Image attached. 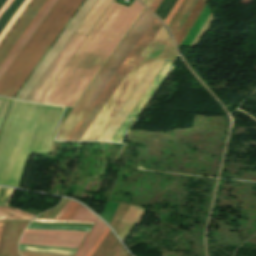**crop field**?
<instances>
[{"label":"crop field","instance_id":"d9b57169","mask_svg":"<svg viewBox=\"0 0 256 256\" xmlns=\"http://www.w3.org/2000/svg\"><path fill=\"white\" fill-rule=\"evenodd\" d=\"M142 209L141 208H137V207H133L130 206L129 210L127 211L123 221L125 222H130L135 224L138 216L140 215Z\"/></svg>","mask_w":256,"mask_h":256},{"label":"crop field","instance_id":"dafd665d","mask_svg":"<svg viewBox=\"0 0 256 256\" xmlns=\"http://www.w3.org/2000/svg\"><path fill=\"white\" fill-rule=\"evenodd\" d=\"M109 228L107 227V229L104 231V233L102 234V236L100 237V239L97 241V243L94 245V247L91 249V251L88 253L87 256H91L93 254V252L96 250V248L98 247V245L101 243V241L104 239V237L106 236V234L109 232Z\"/></svg>","mask_w":256,"mask_h":256},{"label":"crop field","instance_id":"cbeb9de0","mask_svg":"<svg viewBox=\"0 0 256 256\" xmlns=\"http://www.w3.org/2000/svg\"><path fill=\"white\" fill-rule=\"evenodd\" d=\"M196 1L197 0H185L184 4L182 5L180 10L178 11L176 16L174 17L173 21L169 25V28H170V30L173 34V37L176 35L177 31L179 30V28L183 24L184 20L186 19L189 12L191 11L193 6L195 5Z\"/></svg>","mask_w":256,"mask_h":256},{"label":"crop field","instance_id":"214f88e0","mask_svg":"<svg viewBox=\"0 0 256 256\" xmlns=\"http://www.w3.org/2000/svg\"><path fill=\"white\" fill-rule=\"evenodd\" d=\"M32 222H45V223H83V224H94V223H91V222H83V221L49 220V219H40V218H35Z\"/></svg>","mask_w":256,"mask_h":256},{"label":"crop field","instance_id":"4a817a6b","mask_svg":"<svg viewBox=\"0 0 256 256\" xmlns=\"http://www.w3.org/2000/svg\"><path fill=\"white\" fill-rule=\"evenodd\" d=\"M127 252L123 249V247L120 245V243L117 242L115 243V245L113 246V248L111 249V251L109 252V254L107 256H127Z\"/></svg>","mask_w":256,"mask_h":256},{"label":"crop field","instance_id":"412701ff","mask_svg":"<svg viewBox=\"0 0 256 256\" xmlns=\"http://www.w3.org/2000/svg\"><path fill=\"white\" fill-rule=\"evenodd\" d=\"M169 39L162 25L80 141L97 140Z\"/></svg>","mask_w":256,"mask_h":256},{"label":"crop field","instance_id":"5a996713","mask_svg":"<svg viewBox=\"0 0 256 256\" xmlns=\"http://www.w3.org/2000/svg\"><path fill=\"white\" fill-rule=\"evenodd\" d=\"M47 0H32L0 44V64Z\"/></svg>","mask_w":256,"mask_h":256},{"label":"crop field","instance_id":"d1516ede","mask_svg":"<svg viewBox=\"0 0 256 256\" xmlns=\"http://www.w3.org/2000/svg\"><path fill=\"white\" fill-rule=\"evenodd\" d=\"M174 63V62H173ZM172 62L166 61L160 74L158 75V77L155 79V81L152 83V85L150 86V88L147 90V92L145 93V95L142 97V99L139 101V103L137 104V106L134 108V110L132 111V113L129 115V117L126 119V121L124 122V124L121 126V128L119 129V131L116 133V135L113 137L112 141H118L120 140V138L123 136V134L126 132V130L129 128V126L132 124V122L135 120V118L137 117V115L140 113V111L142 110V108L145 106V104L147 103V101L150 99V97L152 96V94L155 92V90L157 89V87L160 85V83L162 82V80L165 78L170 66H171ZM173 65V64H172ZM172 67V66H171ZM171 69V68H170ZM170 71V70H169ZM169 73V72H168ZM168 75V74H167ZM164 81V80H163Z\"/></svg>","mask_w":256,"mask_h":256},{"label":"crop field","instance_id":"eef30255","mask_svg":"<svg viewBox=\"0 0 256 256\" xmlns=\"http://www.w3.org/2000/svg\"><path fill=\"white\" fill-rule=\"evenodd\" d=\"M144 2V0H142Z\"/></svg>","mask_w":256,"mask_h":256},{"label":"crop field","instance_id":"ac0d7876","mask_svg":"<svg viewBox=\"0 0 256 256\" xmlns=\"http://www.w3.org/2000/svg\"><path fill=\"white\" fill-rule=\"evenodd\" d=\"M83 0H58L0 80V96L13 98Z\"/></svg>","mask_w":256,"mask_h":256},{"label":"crop field","instance_id":"730fd06b","mask_svg":"<svg viewBox=\"0 0 256 256\" xmlns=\"http://www.w3.org/2000/svg\"><path fill=\"white\" fill-rule=\"evenodd\" d=\"M22 256H30V255H22Z\"/></svg>","mask_w":256,"mask_h":256},{"label":"crop field","instance_id":"34b2d1b8","mask_svg":"<svg viewBox=\"0 0 256 256\" xmlns=\"http://www.w3.org/2000/svg\"><path fill=\"white\" fill-rule=\"evenodd\" d=\"M154 18L155 17L145 9L69 115L60 125L56 137L57 140H67Z\"/></svg>","mask_w":256,"mask_h":256},{"label":"crop field","instance_id":"22f410ed","mask_svg":"<svg viewBox=\"0 0 256 256\" xmlns=\"http://www.w3.org/2000/svg\"><path fill=\"white\" fill-rule=\"evenodd\" d=\"M205 4L206 3L202 0L197 1L196 5L192 9L189 16L187 17L184 24L182 25V27L180 28V30L178 31L177 35L174 38L177 45H180L183 38L185 37V35L189 31V29L191 28L192 24L194 23V21L196 20V18L200 14V12L203 9V7L205 6Z\"/></svg>","mask_w":256,"mask_h":256},{"label":"crop field","instance_id":"8a807250","mask_svg":"<svg viewBox=\"0 0 256 256\" xmlns=\"http://www.w3.org/2000/svg\"><path fill=\"white\" fill-rule=\"evenodd\" d=\"M143 8L112 2L40 102L73 107Z\"/></svg>","mask_w":256,"mask_h":256},{"label":"crop field","instance_id":"00972430","mask_svg":"<svg viewBox=\"0 0 256 256\" xmlns=\"http://www.w3.org/2000/svg\"><path fill=\"white\" fill-rule=\"evenodd\" d=\"M19 252H20V254H30V255L68 256V255L50 254V253H40V252H27V251H19Z\"/></svg>","mask_w":256,"mask_h":256},{"label":"crop field","instance_id":"bc2a9ffb","mask_svg":"<svg viewBox=\"0 0 256 256\" xmlns=\"http://www.w3.org/2000/svg\"><path fill=\"white\" fill-rule=\"evenodd\" d=\"M20 246L75 251V249H72V248H54V247H47V246H31V245H21V244ZM25 247H20V248H25ZM37 248H27V249H37ZM27 249H20V250H27ZM48 249H43V250H48ZM28 251H42V250H28ZM58 251H44V252H58ZM58 253H69V252H58ZM69 254H72V253H69Z\"/></svg>","mask_w":256,"mask_h":256},{"label":"crop field","instance_id":"5142ce71","mask_svg":"<svg viewBox=\"0 0 256 256\" xmlns=\"http://www.w3.org/2000/svg\"><path fill=\"white\" fill-rule=\"evenodd\" d=\"M34 216L23 211L0 207V220H32Z\"/></svg>","mask_w":256,"mask_h":256},{"label":"crop field","instance_id":"e52e79f7","mask_svg":"<svg viewBox=\"0 0 256 256\" xmlns=\"http://www.w3.org/2000/svg\"><path fill=\"white\" fill-rule=\"evenodd\" d=\"M55 219L84 220L97 222L74 256H86V254L90 251L92 246L95 244L97 239L107 227L95 215L83 208L80 204L71 200L68 201V203L59 212Z\"/></svg>","mask_w":256,"mask_h":256},{"label":"crop field","instance_id":"dd49c442","mask_svg":"<svg viewBox=\"0 0 256 256\" xmlns=\"http://www.w3.org/2000/svg\"><path fill=\"white\" fill-rule=\"evenodd\" d=\"M85 38L86 36L73 33L26 100L39 102Z\"/></svg>","mask_w":256,"mask_h":256},{"label":"crop field","instance_id":"733c2abd","mask_svg":"<svg viewBox=\"0 0 256 256\" xmlns=\"http://www.w3.org/2000/svg\"><path fill=\"white\" fill-rule=\"evenodd\" d=\"M13 190L0 188V206H7Z\"/></svg>","mask_w":256,"mask_h":256},{"label":"crop field","instance_id":"3316defc","mask_svg":"<svg viewBox=\"0 0 256 256\" xmlns=\"http://www.w3.org/2000/svg\"><path fill=\"white\" fill-rule=\"evenodd\" d=\"M56 1L57 0H48L46 2V4L43 6V8L40 10L38 15L35 17V19L32 21L30 26L27 28V30L24 32V34L21 36L19 41L13 47V49L8 54V56L5 58L3 63L0 65V78L3 76L5 71L11 65V63L16 58V56L19 54V52L24 47V45L27 43L29 38L32 36V34L35 32V30L38 28V26L43 21V19L46 17V15L51 10V8L54 6Z\"/></svg>","mask_w":256,"mask_h":256},{"label":"crop field","instance_id":"d8731c3e","mask_svg":"<svg viewBox=\"0 0 256 256\" xmlns=\"http://www.w3.org/2000/svg\"><path fill=\"white\" fill-rule=\"evenodd\" d=\"M25 231L32 232H66L84 234L81 231H57V230H32L26 229ZM83 235L65 234V233H31L24 232L20 239V243L33 244V245H47L54 247H73L77 248L81 241L84 239ZM80 246V245H79Z\"/></svg>","mask_w":256,"mask_h":256},{"label":"crop field","instance_id":"28ad6ade","mask_svg":"<svg viewBox=\"0 0 256 256\" xmlns=\"http://www.w3.org/2000/svg\"><path fill=\"white\" fill-rule=\"evenodd\" d=\"M29 222L7 221L0 235V256H19L17 243Z\"/></svg>","mask_w":256,"mask_h":256},{"label":"crop field","instance_id":"f4fd0767","mask_svg":"<svg viewBox=\"0 0 256 256\" xmlns=\"http://www.w3.org/2000/svg\"><path fill=\"white\" fill-rule=\"evenodd\" d=\"M156 18L155 20L152 22V24L149 26V28L147 29V31L144 33V35L142 36V38L139 40V42L136 44V46L134 47V49L131 51V53L129 54V56L126 58V60L123 62V64L121 65V67L118 69V71L115 73V75L113 76V78L110 80V82L108 83V85L105 87V89L102 91V93L100 94V96L97 98V100L94 102V104L92 105V107L89 109V111L87 112V114L84 116V118L81 120V122L79 123V125L76 127V129L74 130V132L71 134V136L68 138V140H71V138L74 136V134L76 133V131L79 129V127L82 125V123L84 122V120L87 118V116L89 115V113L92 111V109L94 108V106L97 104V102L99 101V99L102 97V95L105 93V91L107 90V88L110 86V84L112 83V81L115 79V77L117 76V74L120 72V70L122 69V67L125 65V63L128 61V59L130 58V56L133 54V52L135 51V49L138 47V45L140 44V42L143 40V38L145 37V35L148 33V31L151 29V27L153 26V24L156 22ZM161 23L157 20V22L154 24V26L152 27V29L149 31V33L146 35V37L144 38V40L141 42V44L139 45V47L136 49V51L134 52V54L131 56V58L129 59V61L126 63V65L123 67V69L121 70V72L118 74V76L116 77V79L113 81V83L111 84V86L108 88V90L106 91V93L103 95V97L100 99V101L98 102V104L95 106V108L93 109V111L90 113V115L88 116V118L85 120V122L83 123V125L80 127V129L77 131V133L75 134V136L72 138V141H79V139L82 137V135L84 134V132L87 130V128L89 127V125L92 123V121L95 119V117L97 116V114L100 112V110L102 109V107L105 105V103L107 102V100L110 98V96L112 95V93L115 91V89L117 88V86L120 84V82L123 80V78L125 77V75L128 73V71L130 70V68L133 66V64L135 63V61L138 59V57L140 56V54L143 52V50L145 49V47L148 45V43L151 41V39L153 38V36L156 34V32L158 31V29L161 27Z\"/></svg>","mask_w":256,"mask_h":256},{"label":"crop field","instance_id":"92a150f3","mask_svg":"<svg viewBox=\"0 0 256 256\" xmlns=\"http://www.w3.org/2000/svg\"><path fill=\"white\" fill-rule=\"evenodd\" d=\"M183 1L184 0H177V2L175 3L174 7L172 8V10L170 11L167 18L164 21L167 26L170 23V21L172 20V18L174 17V15L176 14L177 10L179 9V7L183 3Z\"/></svg>","mask_w":256,"mask_h":256},{"label":"crop field","instance_id":"4177f3b9","mask_svg":"<svg viewBox=\"0 0 256 256\" xmlns=\"http://www.w3.org/2000/svg\"><path fill=\"white\" fill-rule=\"evenodd\" d=\"M3 223H4V222H0V232H1L2 227H3Z\"/></svg>","mask_w":256,"mask_h":256},{"label":"crop field","instance_id":"a9b5d70f","mask_svg":"<svg viewBox=\"0 0 256 256\" xmlns=\"http://www.w3.org/2000/svg\"><path fill=\"white\" fill-rule=\"evenodd\" d=\"M161 0H154V2L152 3V5L150 6V10H152L153 12H155L156 8L158 7V5L160 4Z\"/></svg>","mask_w":256,"mask_h":256}]
</instances>
